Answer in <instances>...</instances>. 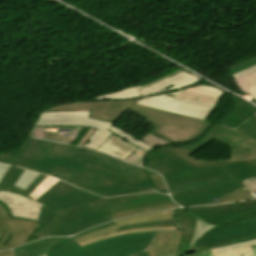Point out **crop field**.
<instances>
[{"label": "crop field", "mask_w": 256, "mask_h": 256, "mask_svg": "<svg viewBox=\"0 0 256 256\" xmlns=\"http://www.w3.org/2000/svg\"><path fill=\"white\" fill-rule=\"evenodd\" d=\"M240 91L256 100V71L235 79Z\"/></svg>", "instance_id": "crop-field-29"}, {"label": "crop field", "mask_w": 256, "mask_h": 256, "mask_svg": "<svg viewBox=\"0 0 256 256\" xmlns=\"http://www.w3.org/2000/svg\"><path fill=\"white\" fill-rule=\"evenodd\" d=\"M193 154L184 148H159L151 153L147 157L148 167H153L155 165L166 162L163 158L167 155L176 158L177 160L193 165L196 167H211L222 165L225 167L230 174L237 178L240 182L244 179L256 177V160L245 161V162H235L229 163V159L223 160H198L190 155Z\"/></svg>", "instance_id": "crop-field-9"}, {"label": "crop field", "mask_w": 256, "mask_h": 256, "mask_svg": "<svg viewBox=\"0 0 256 256\" xmlns=\"http://www.w3.org/2000/svg\"><path fill=\"white\" fill-rule=\"evenodd\" d=\"M164 159H166L168 162L155 166L151 169L156 170L157 172L163 174V177L166 181L219 171H227L222 166L211 168H195L193 166L183 164L168 156Z\"/></svg>", "instance_id": "crop-field-15"}, {"label": "crop field", "mask_w": 256, "mask_h": 256, "mask_svg": "<svg viewBox=\"0 0 256 256\" xmlns=\"http://www.w3.org/2000/svg\"><path fill=\"white\" fill-rule=\"evenodd\" d=\"M173 207H176V206H174L173 204L161 205V206L143 208V209H139V210H131V211H127V212L112 215L111 217L114 220V219L121 218V217L128 216V215H134V214H139V213L163 210V209H168V208H173Z\"/></svg>", "instance_id": "crop-field-35"}, {"label": "crop field", "mask_w": 256, "mask_h": 256, "mask_svg": "<svg viewBox=\"0 0 256 256\" xmlns=\"http://www.w3.org/2000/svg\"><path fill=\"white\" fill-rule=\"evenodd\" d=\"M45 256V255H44Z\"/></svg>", "instance_id": "crop-field-58"}, {"label": "crop field", "mask_w": 256, "mask_h": 256, "mask_svg": "<svg viewBox=\"0 0 256 256\" xmlns=\"http://www.w3.org/2000/svg\"><path fill=\"white\" fill-rule=\"evenodd\" d=\"M254 59H256V57H253V58H251V59L245 60V61H243V62H241V63H238V64H235V65L229 66V69H232V68L237 67V66H239V65L245 64V63L250 62V61H252V60H254Z\"/></svg>", "instance_id": "crop-field-53"}, {"label": "crop field", "mask_w": 256, "mask_h": 256, "mask_svg": "<svg viewBox=\"0 0 256 256\" xmlns=\"http://www.w3.org/2000/svg\"><path fill=\"white\" fill-rule=\"evenodd\" d=\"M254 65H256V60H255V61H252V62H250V63H247V64H245V65L239 66V67H237V68H234V69L230 70V72H231V74L233 75V74H235V73L244 71V70H246V69H248V68H250V67H252V66H254Z\"/></svg>", "instance_id": "crop-field-47"}, {"label": "crop field", "mask_w": 256, "mask_h": 256, "mask_svg": "<svg viewBox=\"0 0 256 256\" xmlns=\"http://www.w3.org/2000/svg\"><path fill=\"white\" fill-rule=\"evenodd\" d=\"M255 247L256 240H252L248 242L215 248L203 252L193 253L187 256H253V250Z\"/></svg>", "instance_id": "crop-field-22"}, {"label": "crop field", "mask_w": 256, "mask_h": 256, "mask_svg": "<svg viewBox=\"0 0 256 256\" xmlns=\"http://www.w3.org/2000/svg\"><path fill=\"white\" fill-rule=\"evenodd\" d=\"M153 226H176V224H174L172 220H163V221L149 222V223H142V224H137L133 226L121 227L119 229L127 230V229H133V228L153 227Z\"/></svg>", "instance_id": "crop-field-40"}, {"label": "crop field", "mask_w": 256, "mask_h": 256, "mask_svg": "<svg viewBox=\"0 0 256 256\" xmlns=\"http://www.w3.org/2000/svg\"><path fill=\"white\" fill-rule=\"evenodd\" d=\"M147 251H148V255H149V256H152V254H151L149 248L147 249Z\"/></svg>", "instance_id": "crop-field-56"}, {"label": "crop field", "mask_w": 256, "mask_h": 256, "mask_svg": "<svg viewBox=\"0 0 256 256\" xmlns=\"http://www.w3.org/2000/svg\"><path fill=\"white\" fill-rule=\"evenodd\" d=\"M65 237H49L45 239L38 240L36 242L27 244L20 248H15L14 252L16 256H42L45 254L47 248L63 239Z\"/></svg>", "instance_id": "crop-field-26"}, {"label": "crop field", "mask_w": 256, "mask_h": 256, "mask_svg": "<svg viewBox=\"0 0 256 256\" xmlns=\"http://www.w3.org/2000/svg\"><path fill=\"white\" fill-rule=\"evenodd\" d=\"M255 256H256V250H255Z\"/></svg>", "instance_id": "crop-field-57"}, {"label": "crop field", "mask_w": 256, "mask_h": 256, "mask_svg": "<svg viewBox=\"0 0 256 256\" xmlns=\"http://www.w3.org/2000/svg\"><path fill=\"white\" fill-rule=\"evenodd\" d=\"M180 92L181 90L159 96L142 98L137 104L202 120H206L215 109V106L174 97Z\"/></svg>", "instance_id": "crop-field-11"}, {"label": "crop field", "mask_w": 256, "mask_h": 256, "mask_svg": "<svg viewBox=\"0 0 256 256\" xmlns=\"http://www.w3.org/2000/svg\"><path fill=\"white\" fill-rule=\"evenodd\" d=\"M103 198L104 197L82 190L64 206L62 205L63 207H61L59 210L43 204L38 221L46 225L52 218L56 216L69 224L72 221L90 213V210L86 204Z\"/></svg>", "instance_id": "crop-field-12"}, {"label": "crop field", "mask_w": 256, "mask_h": 256, "mask_svg": "<svg viewBox=\"0 0 256 256\" xmlns=\"http://www.w3.org/2000/svg\"><path fill=\"white\" fill-rule=\"evenodd\" d=\"M252 239H256V220L223 226L209 225L197 220L189 248L198 252Z\"/></svg>", "instance_id": "crop-field-7"}, {"label": "crop field", "mask_w": 256, "mask_h": 256, "mask_svg": "<svg viewBox=\"0 0 256 256\" xmlns=\"http://www.w3.org/2000/svg\"><path fill=\"white\" fill-rule=\"evenodd\" d=\"M190 75L189 73L185 72V71H181L175 75H172L170 76L169 78L163 80V81H160L154 85H151L149 87H146L144 89H142L141 91H139V93L142 95V96H145V95H149L150 93L160 89V88H163L173 82H176V81H179L183 78H185L186 76Z\"/></svg>", "instance_id": "crop-field-30"}, {"label": "crop field", "mask_w": 256, "mask_h": 256, "mask_svg": "<svg viewBox=\"0 0 256 256\" xmlns=\"http://www.w3.org/2000/svg\"><path fill=\"white\" fill-rule=\"evenodd\" d=\"M0 256H13L12 250L6 252H0Z\"/></svg>", "instance_id": "crop-field-54"}, {"label": "crop field", "mask_w": 256, "mask_h": 256, "mask_svg": "<svg viewBox=\"0 0 256 256\" xmlns=\"http://www.w3.org/2000/svg\"><path fill=\"white\" fill-rule=\"evenodd\" d=\"M9 168H10V165L0 163V181L3 178V176L6 174Z\"/></svg>", "instance_id": "crop-field-51"}, {"label": "crop field", "mask_w": 256, "mask_h": 256, "mask_svg": "<svg viewBox=\"0 0 256 256\" xmlns=\"http://www.w3.org/2000/svg\"><path fill=\"white\" fill-rule=\"evenodd\" d=\"M251 193L256 192V178L241 182Z\"/></svg>", "instance_id": "crop-field-46"}, {"label": "crop field", "mask_w": 256, "mask_h": 256, "mask_svg": "<svg viewBox=\"0 0 256 256\" xmlns=\"http://www.w3.org/2000/svg\"><path fill=\"white\" fill-rule=\"evenodd\" d=\"M157 232L115 236L81 247L65 238L49 247L46 256H130L147 248Z\"/></svg>", "instance_id": "crop-field-4"}, {"label": "crop field", "mask_w": 256, "mask_h": 256, "mask_svg": "<svg viewBox=\"0 0 256 256\" xmlns=\"http://www.w3.org/2000/svg\"><path fill=\"white\" fill-rule=\"evenodd\" d=\"M151 177V179L153 180L154 182V186L158 189V190H167L165 185H164V182L161 178V175H149Z\"/></svg>", "instance_id": "crop-field-45"}, {"label": "crop field", "mask_w": 256, "mask_h": 256, "mask_svg": "<svg viewBox=\"0 0 256 256\" xmlns=\"http://www.w3.org/2000/svg\"><path fill=\"white\" fill-rule=\"evenodd\" d=\"M185 90L191 91V92H195V93H199V94H204V95L212 96V97H216V98H221V96H219V95H215V94H212V93H209V92H205V91H202V90H199V89H195V88H190V89H185Z\"/></svg>", "instance_id": "crop-field-50"}, {"label": "crop field", "mask_w": 256, "mask_h": 256, "mask_svg": "<svg viewBox=\"0 0 256 256\" xmlns=\"http://www.w3.org/2000/svg\"><path fill=\"white\" fill-rule=\"evenodd\" d=\"M55 143L28 138L19 149L0 154V162L12 165L0 182V190L10 191L24 169L39 171L71 183L87 167L76 160L48 157Z\"/></svg>", "instance_id": "crop-field-3"}, {"label": "crop field", "mask_w": 256, "mask_h": 256, "mask_svg": "<svg viewBox=\"0 0 256 256\" xmlns=\"http://www.w3.org/2000/svg\"><path fill=\"white\" fill-rule=\"evenodd\" d=\"M146 152L143 150L137 148L135 152H133L126 160L125 162L135 164L137 166H143V157Z\"/></svg>", "instance_id": "crop-field-42"}, {"label": "crop field", "mask_w": 256, "mask_h": 256, "mask_svg": "<svg viewBox=\"0 0 256 256\" xmlns=\"http://www.w3.org/2000/svg\"><path fill=\"white\" fill-rule=\"evenodd\" d=\"M176 97L186 98V99H190V100H194V101H198V102H204V103H208V104L216 105V106L219 101V99H216V98L203 96V95H199V94H195V93H191V92H186L183 90H182V93L177 95Z\"/></svg>", "instance_id": "crop-field-34"}, {"label": "crop field", "mask_w": 256, "mask_h": 256, "mask_svg": "<svg viewBox=\"0 0 256 256\" xmlns=\"http://www.w3.org/2000/svg\"><path fill=\"white\" fill-rule=\"evenodd\" d=\"M223 128L224 127L214 125L200 142H198L192 146H188V147H184V148L188 149L194 153L195 151H197L198 149L203 147L205 144H207L208 142H210L211 140L216 138L218 136V134L223 130Z\"/></svg>", "instance_id": "crop-field-32"}, {"label": "crop field", "mask_w": 256, "mask_h": 256, "mask_svg": "<svg viewBox=\"0 0 256 256\" xmlns=\"http://www.w3.org/2000/svg\"><path fill=\"white\" fill-rule=\"evenodd\" d=\"M136 256H147V253H146V251H144V252L139 253V254L136 255Z\"/></svg>", "instance_id": "crop-field-55"}, {"label": "crop field", "mask_w": 256, "mask_h": 256, "mask_svg": "<svg viewBox=\"0 0 256 256\" xmlns=\"http://www.w3.org/2000/svg\"><path fill=\"white\" fill-rule=\"evenodd\" d=\"M244 186L233 191L232 193L220 198L223 203L236 202L253 198L251 193Z\"/></svg>", "instance_id": "crop-field-33"}, {"label": "crop field", "mask_w": 256, "mask_h": 256, "mask_svg": "<svg viewBox=\"0 0 256 256\" xmlns=\"http://www.w3.org/2000/svg\"><path fill=\"white\" fill-rule=\"evenodd\" d=\"M89 112L90 111L41 113L34 125H67L97 128L83 145L93 149L98 148L113 133L146 152L152 148L113 126V123L88 118Z\"/></svg>", "instance_id": "crop-field-5"}, {"label": "crop field", "mask_w": 256, "mask_h": 256, "mask_svg": "<svg viewBox=\"0 0 256 256\" xmlns=\"http://www.w3.org/2000/svg\"><path fill=\"white\" fill-rule=\"evenodd\" d=\"M0 201L8 205L13 217L38 219L41 203L30 200L20 194L0 191Z\"/></svg>", "instance_id": "crop-field-16"}, {"label": "crop field", "mask_w": 256, "mask_h": 256, "mask_svg": "<svg viewBox=\"0 0 256 256\" xmlns=\"http://www.w3.org/2000/svg\"><path fill=\"white\" fill-rule=\"evenodd\" d=\"M163 219H172V210L170 211H161L157 213H150V214H142L136 217H129V218H124L115 221L116 225L102 228L100 230H97L95 232H92L90 234L84 235L82 237H79L77 239H74L76 242H84L87 239H90L95 236H100L104 235L109 232H115L118 231V227L120 226H127V225H133L137 223H142V222H149V221H157V220H163Z\"/></svg>", "instance_id": "crop-field-17"}, {"label": "crop field", "mask_w": 256, "mask_h": 256, "mask_svg": "<svg viewBox=\"0 0 256 256\" xmlns=\"http://www.w3.org/2000/svg\"><path fill=\"white\" fill-rule=\"evenodd\" d=\"M130 198H142V196L141 194H138L130 196L112 197L88 204V207L90 208L92 213L72 222L69 225L55 217L45 227H39L34 234L43 237L70 236L77 234L85 229L112 220L105 204Z\"/></svg>", "instance_id": "crop-field-8"}, {"label": "crop field", "mask_w": 256, "mask_h": 256, "mask_svg": "<svg viewBox=\"0 0 256 256\" xmlns=\"http://www.w3.org/2000/svg\"><path fill=\"white\" fill-rule=\"evenodd\" d=\"M143 199H131L124 200L112 204H108L107 207L111 214L130 210V209H139L148 206H155L161 204L170 203L163 196L157 192H149L142 194Z\"/></svg>", "instance_id": "crop-field-20"}, {"label": "crop field", "mask_w": 256, "mask_h": 256, "mask_svg": "<svg viewBox=\"0 0 256 256\" xmlns=\"http://www.w3.org/2000/svg\"><path fill=\"white\" fill-rule=\"evenodd\" d=\"M46 177V175L40 174L39 177L34 181V183H31L32 185L25 192H23V195L28 197Z\"/></svg>", "instance_id": "crop-field-44"}, {"label": "crop field", "mask_w": 256, "mask_h": 256, "mask_svg": "<svg viewBox=\"0 0 256 256\" xmlns=\"http://www.w3.org/2000/svg\"><path fill=\"white\" fill-rule=\"evenodd\" d=\"M254 70H256V66H254V67H252V68H250V69H248V70H246V71H244V72L235 74V75L233 76V78L235 79V78H237V77H239V76H242V75L247 74V73H249V72H252V71H254Z\"/></svg>", "instance_id": "crop-field-52"}, {"label": "crop field", "mask_w": 256, "mask_h": 256, "mask_svg": "<svg viewBox=\"0 0 256 256\" xmlns=\"http://www.w3.org/2000/svg\"><path fill=\"white\" fill-rule=\"evenodd\" d=\"M231 148L230 162L256 159V140L227 127L215 139Z\"/></svg>", "instance_id": "crop-field-14"}, {"label": "crop field", "mask_w": 256, "mask_h": 256, "mask_svg": "<svg viewBox=\"0 0 256 256\" xmlns=\"http://www.w3.org/2000/svg\"><path fill=\"white\" fill-rule=\"evenodd\" d=\"M226 173H228V172H220V173H213V174H207V175H201V176L183 178V179L168 181V182H166V183H167L168 186H170V185L180 184V183L189 182V181H194V180H199V179H204V178L222 176V175H225Z\"/></svg>", "instance_id": "crop-field-41"}, {"label": "crop field", "mask_w": 256, "mask_h": 256, "mask_svg": "<svg viewBox=\"0 0 256 256\" xmlns=\"http://www.w3.org/2000/svg\"><path fill=\"white\" fill-rule=\"evenodd\" d=\"M186 210L206 222L223 225L256 218V200L186 208Z\"/></svg>", "instance_id": "crop-field-10"}, {"label": "crop field", "mask_w": 256, "mask_h": 256, "mask_svg": "<svg viewBox=\"0 0 256 256\" xmlns=\"http://www.w3.org/2000/svg\"><path fill=\"white\" fill-rule=\"evenodd\" d=\"M38 175L39 173L25 170V172L16 182L15 186L26 190L31 185V183L37 178Z\"/></svg>", "instance_id": "crop-field-37"}, {"label": "crop field", "mask_w": 256, "mask_h": 256, "mask_svg": "<svg viewBox=\"0 0 256 256\" xmlns=\"http://www.w3.org/2000/svg\"><path fill=\"white\" fill-rule=\"evenodd\" d=\"M84 148L56 143L50 156L79 160Z\"/></svg>", "instance_id": "crop-field-27"}, {"label": "crop field", "mask_w": 256, "mask_h": 256, "mask_svg": "<svg viewBox=\"0 0 256 256\" xmlns=\"http://www.w3.org/2000/svg\"><path fill=\"white\" fill-rule=\"evenodd\" d=\"M176 227H153V228H141V229H133V230H127V231H119L115 233H109L104 236L95 237L90 240H87L84 243H80L81 246L110 237L114 235H120V234H128V233H136V232H145V231H164V230H176Z\"/></svg>", "instance_id": "crop-field-31"}, {"label": "crop field", "mask_w": 256, "mask_h": 256, "mask_svg": "<svg viewBox=\"0 0 256 256\" xmlns=\"http://www.w3.org/2000/svg\"><path fill=\"white\" fill-rule=\"evenodd\" d=\"M113 158L86 149L80 161L89 165L71 184L107 197L157 190L143 168Z\"/></svg>", "instance_id": "crop-field-2"}, {"label": "crop field", "mask_w": 256, "mask_h": 256, "mask_svg": "<svg viewBox=\"0 0 256 256\" xmlns=\"http://www.w3.org/2000/svg\"><path fill=\"white\" fill-rule=\"evenodd\" d=\"M142 142L150 145V146H154V145H168V144H172L171 142H169L168 140L164 139V138H157L155 136H153L152 134H149L147 136H145L144 138H142L141 140Z\"/></svg>", "instance_id": "crop-field-43"}, {"label": "crop field", "mask_w": 256, "mask_h": 256, "mask_svg": "<svg viewBox=\"0 0 256 256\" xmlns=\"http://www.w3.org/2000/svg\"><path fill=\"white\" fill-rule=\"evenodd\" d=\"M200 80H201L200 78L190 75V76L186 77L185 79H183L179 82L173 83L157 92H163V91H167V90L183 88V87L189 86L193 83L199 82ZM157 92H155V93H157Z\"/></svg>", "instance_id": "crop-field-38"}, {"label": "crop field", "mask_w": 256, "mask_h": 256, "mask_svg": "<svg viewBox=\"0 0 256 256\" xmlns=\"http://www.w3.org/2000/svg\"><path fill=\"white\" fill-rule=\"evenodd\" d=\"M82 127L33 126L29 135L71 144ZM81 132V131H80Z\"/></svg>", "instance_id": "crop-field-18"}, {"label": "crop field", "mask_w": 256, "mask_h": 256, "mask_svg": "<svg viewBox=\"0 0 256 256\" xmlns=\"http://www.w3.org/2000/svg\"><path fill=\"white\" fill-rule=\"evenodd\" d=\"M181 210V212H179ZM174 221L181 227V238L175 255L184 254L190 245L196 226V218L182 209L174 210Z\"/></svg>", "instance_id": "crop-field-21"}, {"label": "crop field", "mask_w": 256, "mask_h": 256, "mask_svg": "<svg viewBox=\"0 0 256 256\" xmlns=\"http://www.w3.org/2000/svg\"><path fill=\"white\" fill-rule=\"evenodd\" d=\"M110 225H114V222H109V223L100 225V226H98V227H95V228H92V229L87 230V231H85V232H82V233H80V234H78V235H76V236H74V237H71V238L74 239V238H76V237L82 236V235H84V234L90 233V232H92V231H95V230H97V229H100V228L106 227V226H110Z\"/></svg>", "instance_id": "crop-field-48"}, {"label": "crop field", "mask_w": 256, "mask_h": 256, "mask_svg": "<svg viewBox=\"0 0 256 256\" xmlns=\"http://www.w3.org/2000/svg\"><path fill=\"white\" fill-rule=\"evenodd\" d=\"M195 88H199V89H202V90H205V91H209V92H212V93H215V94H219V95H223L224 92L214 88V87H207V86H198V87H195Z\"/></svg>", "instance_id": "crop-field-49"}, {"label": "crop field", "mask_w": 256, "mask_h": 256, "mask_svg": "<svg viewBox=\"0 0 256 256\" xmlns=\"http://www.w3.org/2000/svg\"><path fill=\"white\" fill-rule=\"evenodd\" d=\"M183 69H184V68H182V69H180V70H178V71H176V72H173V73H171V74H169V75H167V76H165V77H162V78H160V79H158V80H156V81H153V82H151V83H149V84H147V85H145V86H143V87L138 86V87L130 88V89L123 90V91H120V92H116V93H112V94H108V95H104V96L92 98L91 100L100 99V98H108V99H127V98L141 97L140 94L137 92L138 90H140V89H142V88H144V87H146V86H149V85H151V84H153V83H155V82H158V81H160V80H163V79L167 78L168 76H170V75H172V74H175V73H177V72H179V71H181V70H183Z\"/></svg>", "instance_id": "crop-field-28"}, {"label": "crop field", "mask_w": 256, "mask_h": 256, "mask_svg": "<svg viewBox=\"0 0 256 256\" xmlns=\"http://www.w3.org/2000/svg\"><path fill=\"white\" fill-rule=\"evenodd\" d=\"M243 186L229 173L222 177L204 179L170 186L173 200L182 206H196L222 203L220 197ZM218 198L219 201H214Z\"/></svg>", "instance_id": "crop-field-6"}, {"label": "crop field", "mask_w": 256, "mask_h": 256, "mask_svg": "<svg viewBox=\"0 0 256 256\" xmlns=\"http://www.w3.org/2000/svg\"><path fill=\"white\" fill-rule=\"evenodd\" d=\"M136 148L137 147L113 134L97 150L124 161Z\"/></svg>", "instance_id": "crop-field-24"}, {"label": "crop field", "mask_w": 256, "mask_h": 256, "mask_svg": "<svg viewBox=\"0 0 256 256\" xmlns=\"http://www.w3.org/2000/svg\"><path fill=\"white\" fill-rule=\"evenodd\" d=\"M236 130H239L256 139V114Z\"/></svg>", "instance_id": "crop-field-39"}, {"label": "crop field", "mask_w": 256, "mask_h": 256, "mask_svg": "<svg viewBox=\"0 0 256 256\" xmlns=\"http://www.w3.org/2000/svg\"><path fill=\"white\" fill-rule=\"evenodd\" d=\"M136 100L111 102H81L51 107L44 112L91 110L90 116L115 122L128 108L137 112L153 124V132L173 143H188L197 139L213 126L202 120L171 114L135 104Z\"/></svg>", "instance_id": "crop-field-1"}, {"label": "crop field", "mask_w": 256, "mask_h": 256, "mask_svg": "<svg viewBox=\"0 0 256 256\" xmlns=\"http://www.w3.org/2000/svg\"><path fill=\"white\" fill-rule=\"evenodd\" d=\"M233 98L236 103L233 111L219 124L236 128L250 116L256 113V108L234 96Z\"/></svg>", "instance_id": "crop-field-25"}, {"label": "crop field", "mask_w": 256, "mask_h": 256, "mask_svg": "<svg viewBox=\"0 0 256 256\" xmlns=\"http://www.w3.org/2000/svg\"><path fill=\"white\" fill-rule=\"evenodd\" d=\"M79 191L81 189L60 181L38 198L37 201L59 209Z\"/></svg>", "instance_id": "crop-field-19"}, {"label": "crop field", "mask_w": 256, "mask_h": 256, "mask_svg": "<svg viewBox=\"0 0 256 256\" xmlns=\"http://www.w3.org/2000/svg\"><path fill=\"white\" fill-rule=\"evenodd\" d=\"M59 180L47 177L35 190L34 192L29 196V198L36 200L38 197H40L45 191H47L50 187H52L54 184H56Z\"/></svg>", "instance_id": "crop-field-36"}, {"label": "crop field", "mask_w": 256, "mask_h": 256, "mask_svg": "<svg viewBox=\"0 0 256 256\" xmlns=\"http://www.w3.org/2000/svg\"><path fill=\"white\" fill-rule=\"evenodd\" d=\"M39 226L36 222L10 220L5 207L0 204V250L25 243Z\"/></svg>", "instance_id": "crop-field-13"}, {"label": "crop field", "mask_w": 256, "mask_h": 256, "mask_svg": "<svg viewBox=\"0 0 256 256\" xmlns=\"http://www.w3.org/2000/svg\"><path fill=\"white\" fill-rule=\"evenodd\" d=\"M180 234V231L158 233L152 245H150L155 256L174 255L178 246Z\"/></svg>", "instance_id": "crop-field-23"}]
</instances>
